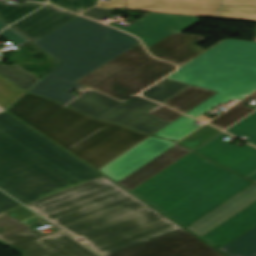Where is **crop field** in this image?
<instances>
[{"label":"crop field","instance_id":"obj_1","mask_svg":"<svg viewBox=\"0 0 256 256\" xmlns=\"http://www.w3.org/2000/svg\"><path fill=\"white\" fill-rule=\"evenodd\" d=\"M26 206L103 256L182 230L105 177Z\"/></svg>","mask_w":256,"mask_h":256},{"label":"crop field","instance_id":"obj_2","mask_svg":"<svg viewBox=\"0 0 256 256\" xmlns=\"http://www.w3.org/2000/svg\"><path fill=\"white\" fill-rule=\"evenodd\" d=\"M99 177L8 113L0 114V189L22 204Z\"/></svg>","mask_w":256,"mask_h":256},{"label":"crop field","instance_id":"obj_3","mask_svg":"<svg viewBox=\"0 0 256 256\" xmlns=\"http://www.w3.org/2000/svg\"><path fill=\"white\" fill-rule=\"evenodd\" d=\"M251 183L191 152L130 192L186 228Z\"/></svg>","mask_w":256,"mask_h":256},{"label":"crop field","instance_id":"obj_4","mask_svg":"<svg viewBox=\"0 0 256 256\" xmlns=\"http://www.w3.org/2000/svg\"><path fill=\"white\" fill-rule=\"evenodd\" d=\"M33 43L60 63L29 93L65 105L75 97L68 93L82 86L75 81L139 42L126 33L78 16Z\"/></svg>","mask_w":256,"mask_h":256},{"label":"crop field","instance_id":"obj_5","mask_svg":"<svg viewBox=\"0 0 256 256\" xmlns=\"http://www.w3.org/2000/svg\"><path fill=\"white\" fill-rule=\"evenodd\" d=\"M8 112L97 170L149 137L28 93Z\"/></svg>","mask_w":256,"mask_h":256},{"label":"crop field","instance_id":"obj_6","mask_svg":"<svg viewBox=\"0 0 256 256\" xmlns=\"http://www.w3.org/2000/svg\"><path fill=\"white\" fill-rule=\"evenodd\" d=\"M167 78L218 92L186 114L197 118L256 90V42L226 39Z\"/></svg>","mask_w":256,"mask_h":256},{"label":"crop field","instance_id":"obj_7","mask_svg":"<svg viewBox=\"0 0 256 256\" xmlns=\"http://www.w3.org/2000/svg\"><path fill=\"white\" fill-rule=\"evenodd\" d=\"M175 68L172 64L151 58L138 44L76 83L124 100Z\"/></svg>","mask_w":256,"mask_h":256},{"label":"crop field","instance_id":"obj_8","mask_svg":"<svg viewBox=\"0 0 256 256\" xmlns=\"http://www.w3.org/2000/svg\"><path fill=\"white\" fill-rule=\"evenodd\" d=\"M0 240L24 256H97L60 230L41 237L25 227Z\"/></svg>","mask_w":256,"mask_h":256},{"label":"crop field","instance_id":"obj_9","mask_svg":"<svg viewBox=\"0 0 256 256\" xmlns=\"http://www.w3.org/2000/svg\"><path fill=\"white\" fill-rule=\"evenodd\" d=\"M112 256H224L182 230Z\"/></svg>","mask_w":256,"mask_h":256},{"label":"crop field","instance_id":"obj_10","mask_svg":"<svg viewBox=\"0 0 256 256\" xmlns=\"http://www.w3.org/2000/svg\"><path fill=\"white\" fill-rule=\"evenodd\" d=\"M222 133L199 147L194 152L233 170L251 181H256V148L246 144L238 147L225 140Z\"/></svg>","mask_w":256,"mask_h":256},{"label":"crop field","instance_id":"obj_11","mask_svg":"<svg viewBox=\"0 0 256 256\" xmlns=\"http://www.w3.org/2000/svg\"><path fill=\"white\" fill-rule=\"evenodd\" d=\"M138 4V10L194 15L216 18L220 5H251L256 0H127ZM125 9L136 10L135 6L126 4Z\"/></svg>","mask_w":256,"mask_h":256},{"label":"crop field","instance_id":"obj_12","mask_svg":"<svg viewBox=\"0 0 256 256\" xmlns=\"http://www.w3.org/2000/svg\"><path fill=\"white\" fill-rule=\"evenodd\" d=\"M198 22V17L193 16L150 13L127 28L109 24L141 38L147 48L168 34L181 33Z\"/></svg>","mask_w":256,"mask_h":256},{"label":"crop field","instance_id":"obj_13","mask_svg":"<svg viewBox=\"0 0 256 256\" xmlns=\"http://www.w3.org/2000/svg\"><path fill=\"white\" fill-rule=\"evenodd\" d=\"M158 105L134 96L97 119L114 122L144 134L153 135L169 124L146 113Z\"/></svg>","mask_w":256,"mask_h":256},{"label":"crop field","instance_id":"obj_14","mask_svg":"<svg viewBox=\"0 0 256 256\" xmlns=\"http://www.w3.org/2000/svg\"><path fill=\"white\" fill-rule=\"evenodd\" d=\"M174 144L151 136L98 171L117 182Z\"/></svg>","mask_w":256,"mask_h":256},{"label":"crop field","instance_id":"obj_15","mask_svg":"<svg viewBox=\"0 0 256 256\" xmlns=\"http://www.w3.org/2000/svg\"><path fill=\"white\" fill-rule=\"evenodd\" d=\"M76 16L52 5H47L10 27L33 42Z\"/></svg>","mask_w":256,"mask_h":256},{"label":"crop field","instance_id":"obj_16","mask_svg":"<svg viewBox=\"0 0 256 256\" xmlns=\"http://www.w3.org/2000/svg\"><path fill=\"white\" fill-rule=\"evenodd\" d=\"M254 201H256L255 183L251 184L186 229L200 238Z\"/></svg>","mask_w":256,"mask_h":256},{"label":"crop field","instance_id":"obj_17","mask_svg":"<svg viewBox=\"0 0 256 256\" xmlns=\"http://www.w3.org/2000/svg\"><path fill=\"white\" fill-rule=\"evenodd\" d=\"M205 39L172 33L147 49L157 58L181 65L204 51L197 44Z\"/></svg>","mask_w":256,"mask_h":256},{"label":"crop field","instance_id":"obj_18","mask_svg":"<svg viewBox=\"0 0 256 256\" xmlns=\"http://www.w3.org/2000/svg\"><path fill=\"white\" fill-rule=\"evenodd\" d=\"M254 226H256V202L241 210L200 239L218 249Z\"/></svg>","mask_w":256,"mask_h":256},{"label":"crop field","instance_id":"obj_19","mask_svg":"<svg viewBox=\"0 0 256 256\" xmlns=\"http://www.w3.org/2000/svg\"><path fill=\"white\" fill-rule=\"evenodd\" d=\"M189 152L191 151L176 144L118 183L130 191L163 169L167 168Z\"/></svg>","mask_w":256,"mask_h":256},{"label":"crop field","instance_id":"obj_20","mask_svg":"<svg viewBox=\"0 0 256 256\" xmlns=\"http://www.w3.org/2000/svg\"><path fill=\"white\" fill-rule=\"evenodd\" d=\"M120 103L122 102H118L112 98L91 90L85 96L74 100L67 107L79 110L89 116L97 118Z\"/></svg>","mask_w":256,"mask_h":256},{"label":"crop field","instance_id":"obj_21","mask_svg":"<svg viewBox=\"0 0 256 256\" xmlns=\"http://www.w3.org/2000/svg\"><path fill=\"white\" fill-rule=\"evenodd\" d=\"M215 93L211 90L191 86L163 104L185 114Z\"/></svg>","mask_w":256,"mask_h":256},{"label":"crop field","instance_id":"obj_22","mask_svg":"<svg viewBox=\"0 0 256 256\" xmlns=\"http://www.w3.org/2000/svg\"><path fill=\"white\" fill-rule=\"evenodd\" d=\"M218 250L228 256H256V227Z\"/></svg>","mask_w":256,"mask_h":256},{"label":"crop field","instance_id":"obj_23","mask_svg":"<svg viewBox=\"0 0 256 256\" xmlns=\"http://www.w3.org/2000/svg\"><path fill=\"white\" fill-rule=\"evenodd\" d=\"M189 86L191 85L164 79L145 90L142 95L162 103L173 95L187 89Z\"/></svg>","mask_w":256,"mask_h":256},{"label":"crop field","instance_id":"obj_24","mask_svg":"<svg viewBox=\"0 0 256 256\" xmlns=\"http://www.w3.org/2000/svg\"><path fill=\"white\" fill-rule=\"evenodd\" d=\"M256 98V92L241 101L240 103L236 104L232 108L228 109L221 115H219L217 118L209 122L210 124L220 128V129H225L237 120L241 119L254 109L248 108L243 106L247 102L251 101L252 99Z\"/></svg>","mask_w":256,"mask_h":256},{"label":"crop field","instance_id":"obj_25","mask_svg":"<svg viewBox=\"0 0 256 256\" xmlns=\"http://www.w3.org/2000/svg\"><path fill=\"white\" fill-rule=\"evenodd\" d=\"M6 2L0 0V19L8 25L44 5L33 2H28L24 5H13Z\"/></svg>","mask_w":256,"mask_h":256},{"label":"crop field","instance_id":"obj_26","mask_svg":"<svg viewBox=\"0 0 256 256\" xmlns=\"http://www.w3.org/2000/svg\"><path fill=\"white\" fill-rule=\"evenodd\" d=\"M195 122L197 121L183 116L178 120L172 122L170 125L162 129L155 135L177 141L199 127L193 125Z\"/></svg>","mask_w":256,"mask_h":256},{"label":"crop field","instance_id":"obj_27","mask_svg":"<svg viewBox=\"0 0 256 256\" xmlns=\"http://www.w3.org/2000/svg\"><path fill=\"white\" fill-rule=\"evenodd\" d=\"M0 74L20 86L24 90H28L39 79L30 75L18 66H2L0 65Z\"/></svg>","mask_w":256,"mask_h":256},{"label":"crop field","instance_id":"obj_28","mask_svg":"<svg viewBox=\"0 0 256 256\" xmlns=\"http://www.w3.org/2000/svg\"><path fill=\"white\" fill-rule=\"evenodd\" d=\"M220 133L222 132L205 124L204 126H202L201 128H199L198 130H196L195 132H193L192 134H190L189 136H187L178 143L194 151L199 146L206 143L207 141L214 138Z\"/></svg>","mask_w":256,"mask_h":256},{"label":"crop field","instance_id":"obj_29","mask_svg":"<svg viewBox=\"0 0 256 256\" xmlns=\"http://www.w3.org/2000/svg\"><path fill=\"white\" fill-rule=\"evenodd\" d=\"M217 18L237 19L256 22V7L220 6Z\"/></svg>","mask_w":256,"mask_h":256},{"label":"crop field","instance_id":"obj_30","mask_svg":"<svg viewBox=\"0 0 256 256\" xmlns=\"http://www.w3.org/2000/svg\"><path fill=\"white\" fill-rule=\"evenodd\" d=\"M226 132L238 138L245 135L249 137L248 139H250V141H247V139L245 141L250 142L256 146V112L243 119L230 129H228Z\"/></svg>","mask_w":256,"mask_h":256},{"label":"crop field","instance_id":"obj_31","mask_svg":"<svg viewBox=\"0 0 256 256\" xmlns=\"http://www.w3.org/2000/svg\"><path fill=\"white\" fill-rule=\"evenodd\" d=\"M24 93L25 92L0 76V106L5 110Z\"/></svg>","mask_w":256,"mask_h":256},{"label":"crop field","instance_id":"obj_32","mask_svg":"<svg viewBox=\"0 0 256 256\" xmlns=\"http://www.w3.org/2000/svg\"><path fill=\"white\" fill-rule=\"evenodd\" d=\"M53 5L61 6L75 13H79L97 4L96 0H50Z\"/></svg>","mask_w":256,"mask_h":256},{"label":"crop field","instance_id":"obj_33","mask_svg":"<svg viewBox=\"0 0 256 256\" xmlns=\"http://www.w3.org/2000/svg\"><path fill=\"white\" fill-rule=\"evenodd\" d=\"M23 227H25L23 224L19 223L7 214H0V237Z\"/></svg>","mask_w":256,"mask_h":256},{"label":"crop field","instance_id":"obj_34","mask_svg":"<svg viewBox=\"0 0 256 256\" xmlns=\"http://www.w3.org/2000/svg\"><path fill=\"white\" fill-rule=\"evenodd\" d=\"M148 113H150L158 118H161L167 122H170V123L182 116V115H180L164 106H161V105L154 108L153 110L149 111Z\"/></svg>","mask_w":256,"mask_h":256},{"label":"crop field","instance_id":"obj_35","mask_svg":"<svg viewBox=\"0 0 256 256\" xmlns=\"http://www.w3.org/2000/svg\"><path fill=\"white\" fill-rule=\"evenodd\" d=\"M0 36L4 37L7 39L9 42L14 44L15 46H20L26 42H28L27 39L23 38L19 34H17L15 31L12 29L8 28L0 33Z\"/></svg>","mask_w":256,"mask_h":256},{"label":"crop field","instance_id":"obj_36","mask_svg":"<svg viewBox=\"0 0 256 256\" xmlns=\"http://www.w3.org/2000/svg\"><path fill=\"white\" fill-rule=\"evenodd\" d=\"M21 206L19 203L0 192V213Z\"/></svg>","mask_w":256,"mask_h":256},{"label":"crop field","instance_id":"obj_37","mask_svg":"<svg viewBox=\"0 0 256 256\" xmlns=\"http://www.w3.org/2000/svg\"><path fill=\"white\" fill-rule=\"evenodd\" d=\"M113 11L114 10H111V9H103V8L96 7V8H92V9L86 11L82 15L99 21L106 15L112 13Z\"/></svg>","mask_w":256,"mask_h":256},{"label":"crop field","instance_id":"obj_38","mask_svg":"<svg viewBox=\"0 0 256 256\" xmlns=\"http://www.w3.org/2000/svg\"><path fill=\"white\" fill-rule=\"evenodd\" d=\"M125 1H126V0H113V1H111L110 3L99 2L98 6L113 7V8H121V9H124Z\"/></svg>","mask_w":256,"mask_h":256},{"label":"crop field","instance_id":"obj_39","mask_svg":"<svg viewBox=\"0 0 256 256\" xmlns=\"http://www.w3.org/2000/svg\"><path fill=\"white\" fill-rule=\"evenodd\" d=\"M6 26H8V25H6L4 22H2V21L0 20V30H1L2 28L6 27Z\"/></svg>","mask_w":256,"mask_h":256},{"label":"crop field","instance_id":"obj_40","mask_svg":"<svg viewBox=\"0 0 256 256\" xmlns=\"http://www.w3.org/2000/svg\"><path fill=\"white\" fill-rule=\"evenodd\" d=\"M27 1H39V2H46V0H27Z\"/></svg>","mask_w":256,"mask_h":256},{"label":"crop field","instance_id":"obj_41","mask_svg":"<svg viewBox=\"0 0 256 256\" xmlns=\"http://www.w3.org/2000/svg\"><path fill=\"white\" fill-rule=\"evenodd\" d=\"M3 111H5V110L0 107V112H3Z\"/></svg>","mask_w":256,"mask_h":256},{"label":"crop field","instance_id":"obj_42","mask_svg":"<svg viewBox=\"0 0 256 256\" xmlns=\"http://www.w3.org/2000/svg\"><path fill=\"white\" fill-rule=\"evenodd\" d=\"M134 5V4H133ZM136 8H137V5H136Z\"/></svg>","mask_w":256,"mask_h":256}]
</instances>
